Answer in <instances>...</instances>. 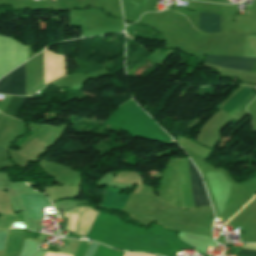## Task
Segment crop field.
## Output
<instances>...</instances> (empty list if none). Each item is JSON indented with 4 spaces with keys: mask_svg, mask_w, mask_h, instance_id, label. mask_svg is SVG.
Here are the masks:
<instances>
[{
    "mask_svg": "<svg viewBox=\"0 0 256 256\" xmlns=\"http://www.w3.org/2000/svg\"><path fill=\"white\" fill-rule=\"evenodd\" d=\"M0 94L25 95V64L0 80Z\"/></svg>",
    "mask_w": 256,
    "mask_h": 256,
    "instance_id": "crop-field-1",
    "label": "crop field"
},
{
    "mask_svg": "<svg viewBox=\"0 0 256 256\" xmlns=\"http://www.w3.org/2000/svg\"><path fill=\"white\" fill-rule=\"evenodd\" d=\"M241 255L256 256V251L242 249Z\"/></svg>",
    "mask_w": 256,
    "mask_h": 256,
    "instance_id": "crop-field-8",
    "label": "crop field"
},
{
    "mask_svg": "<svg viewBox=\"0 0 256 256\" xmlns=\"http://www.w3.org/2000/svg\"><path fill=\"white\" fill-rule=\"evenodd\" d=\"M27 97H13L11 96V100L4 111L3 114H6L10 117H17L20 110L22 109Z\"/></svg>",
    "mask_w": 256,
    "mask_h": 256,
    "instance_id": "crop-field-7",
    "label": "crop field"
},
{
    "mask_svg": "<svg viewBox=\"0 0 256 256\" xmlns=\"http://www.w3.org/2000/svg\"><path fill=\"white\" fill-rule=\"evenodd\" d=\"M256 94L251 92V89L244 87L236 95H234L220 109L227 113L232 118L237 115L244 107H246Z\"/></svg>",
    "mask_w": 256,
    "mask_h": 256,
    "instance_id": "crop-field-3",
    "label": "crop field"
},
{
    "mask_svg": "<svg viewBox=\"0 0 256 256\" xmlns=\"http://www.w3.org/2000/svg\"><path fill=\"white\" fill-rule=\"evenodd\" d=\"M119 190L114 188H107L105 191L104 200L101 204V207L106 209H116L121 211V209L124 207L128 195H121L118 194Z\"/></svg>",
    "mask_w": 256,
    "mask_h": 256,
    "instance_id": "crop-field-5",
    "label": "crop field"
},
{
    "mask_svg": "<svg viewBox=\"0 0 256 256\" xmlns=\"http://www.w3.org/2000/svg\"><path fill=\"white\" fill-rule=\"evenodd\" d=\"M189 162V169H190V176H191V183H192V190H193V197H194V204L195 207L199 205H210L206 192L203 186V183L201 181V177L196 170V168L191 163L190 159H188Z\"/></svg>",
    "mask_w": 256,
    "mask_h": 256,
    "instance_id": "crop-field-4",
    "label": "crop field"
},
{
    "mask_svg": "<svg viewBox=\"0 0 256 256\" xmlns=\"http://www.w3.org/2000/svg\"><path fill=\"white\" fill-rule=\"evenodd\" d=\"M220 15L200 13L199 29L206 32L219 31Z\"/></svg>",
    "mask_w": 256,
    "mask_h": 256,
    "instance_id": "crop-field-6",
    "label": "crop field"
},
{
    "mask_svg": "<svg viewBox=\"0 0 256 256\" xmlns=\"http://www.w3.org/2000/svg\"><path fill=\"white\" fill-rule=\"evenodd\" d=\"M255 61H256V58H238V57L208 55L204 64L250 72Z\"/></svg>",
    "mask_w": 256,
    "mask_h": 256,
    "instance_id": "crop-field-2",
    "label": "crop field"
},
{
    "mask_svg": "<svg viewBox=\"0 0 256 256\" xmlns=\"http://www.w3.org/2000/svg\"><path fill=\"white\" fill-rule=\"evenodd\" d=\"M87 206V205H86ZM76 207V206H75ZM89 207V206H88ZM74 208V207H73ZM92 208V207H91ZM72 209V208H71ZM71 209H69V210H71ZM94 209V208H93ZM69 210H67V211H69Z\"/></svg>",
    "mask_w": 256,
    "mask_h": 256,
    "instance_id": "crop-field-9",
    "label": "crop field"
}]
</instances>
